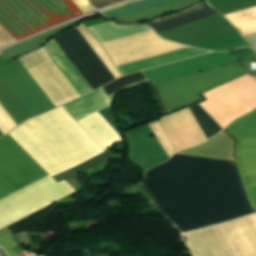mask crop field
I'll return each instance as SVG.
<instances>
[{
	"label": "crop field",
	"mask_w": 256,
	"mask_h": 256,
	"mask_svg": "<svg viewBox=\"0 0 256 256\" xmlns=\"http://www.w3.org/2000/svg\"><path fill=\"white\" fill-rule=\"evenodd\" d=\"M149 201L180 233L253 213L235 162L175 154L145 172Z\"/></svg>",
	"instance_id": "obj_1"
},
{
	"label": "crop field",
	"mask_w": 256,
	"mask_h": 256,
	"mask_svg": "<svg viewBox=\"0 0 256 256\" xmlns=\"http://www.w3.org/2000/svg\"><path fill=\"white\" fill-rule=\"evenodd\" d=\"M0 172L20 189L48 175L8 134L0 139ZM0 173V199L17 189ZM76 191L49 175L0 200V229Z\"/></svg>",
	"instance_id": "obj_2"
},
{
	"label": "crop field",
	"mask_w": 256,
	"mask_h": 256,
	"mask_svg": "<svg viewBox=\"0 0 256 256\" xmlns=\"http://www.w3.org/2000/svg\"><path fill=\"white\" fill-rule=\"evenodd\" d=\"M10 135L51 176L103 152L63 107L27 120Z\"/></svg>",
	"instance_id": "obj_3"
},
{
	"label": "crop field",
	"mask_w": 256,
	"mask_h": 256,
	"mask_svg": "<svg viewBox=\"0 0 256 256\" xmlns=\"http://www.w3.org/2000/svg\"><path fill=\"white\" fill-rule=\"evenodd\" d=\"M184 235L192 256H256V213Z\"/></svg>",
	"instance_id": "obj_4"
},
{
	"label": "crop field",
	"mask_w": 256,
	"mask_h": 256,
	"mask_svg": "<svg viewBox=\"0 0 256 256\" xmlns=\"http://www.w3.org/2000/svg\"><path fill=\"white\" fill-rule=\"evenodd\" d=\"M79 15L71 0H0V25L17 40Z\"/></svg>",
	"instance_id": "obj_5"
},
{
	"label": "crop field",
	"mask_w": 256,
	"mask_h": 256,
	"mask_svg": "<svg viewBox=\"0 0 256 256\" xmlns=\"http://www.w3.org/2000/svg\"><path fill=\"white\" fill-rule=\"evenodd\" d=\"M245 73L234 63L155 84L168 113L203 101L201 92Z\"/></svg>",
	"instance_id": "obj_6"
},
{
	"label": "crop field",
	"mask_w": 256,
	"mask_h": 256,
	"mask_svg": "<svg viewBox=\"0 0 256 256\" xmlns=\"http://www.w3.org/2000/svg\"><path fill=\"white\" fill-rule=\"evenodd\" d=\"M19 60L55 107L80 97L43 48Z\"/></svg>",
	"instance_id": "obj_7"
},
{
	"label": "crop field",
	"mask_w": 256,
	"mask_h": 256,
	"mask_svg": "<svg viewBox=\"0 0 256 256\" xmlns=\"http://www.w3.org/2000/svg\"><path fill=\"white\" fill-rule=\"evenodd\" d=\"M54 39L93 90L115 79L76 27Z\"/></svg>",
	"instance_id": "obj_8"
},
{
	"label": "crop field",
	"mask_w": 256,
	"mask_h": 256,
	"mask_svg": "<svg viewBox=\"0 0 256 256\" xmlns=\"http://www.w3.org/2000/svg\"><path fill=\"white\" fill-rule=\"evenodd\" d=\"M212 8V7H211ZM206 2L199 3L187 10L166 16L148 23L157 34L189 24L191 22L218 14L211 9Z\"/></svg>",
	"instance_id": "obj_9"
},
{
	"label": "crop field",
	"mask_w": 256,
	"mask_h": 256,
	"mask_svg": "<svg viewBox=\"0 0 256 256\" xmlns=\"http://www.w3.org/2000/svg\"><path fill=\"white\" fill-rule=\"evenodd\" d=\"M45 51L59 67L65 77L76 89L80 96L93 91L74 65L70 62L64 52L60 49L54 39L47 42L44 47Z\"/></svg>",
	"instance_id": "obj_10"
},
{
	"label": "crop field",
	"mask_w": 256,
	"mask_h": 256,
	"mask_svg": "<svg viewBox=\"0 0 256 256\" xmlns=\"http://www.w3.org/2000/svg\"><path fill=\"white\" fill-rule=\"evenodd\" d=\"M235 159L244 186L256 184V138L236 141Z\"/></svg>",
	"instance_id": "obj_11"
},
{
	"label": "crop field",
	"mask_w": 256,
	"mask_h": 256,
	"mask_svg": "<svg viewBox=\"0 0 256 256\" xmlns=\"http://www.w3.org/2000/svg\"><path fill=\"white\" fill-rule=\"evenodd\" d=\"M78 123L104 150L122 142V139L97 112Z\"/></svg>",
	"instance_id": "obj_12"
},
{
	"label": "crop field",
	"mask_w": 256,
	"mask_h": 256,
	"mask_svg": "<svg viewBox=\"0 0 256 256\" xmlns=\"http://www.w3.org/2000/svg\"><path fill=\"white\" fill-rule=\"evenodd\" d=\"M210 51L206 50H199V49H194L191 47L180 49L177 51L169 52L166 54L158 55L155 57H151L148 59L140 60L137 62L129 63L126 65L118 66V69L122 73V75L141 71L144 69L152 68L155 66H159L162 64L170 63L173 61L181 60L184 58L192 57L195 55H199L202 53H206Z\"/></svg>",
	"instance_id": "obj_13"
},
{
	"label": "crop field",
	"mask_w": 256,
	"mask_h": 256,
	"mask_svg": "<svg viewBox=\"0 0 256 256\" xmlns=\"http://www.w3.org/2000/svg\"><path fill=\"white\" fill-rule=\"evenodd\" d=\"M110 101L103 91L102 87L96 91L87 94L79 99L67 103L64 108L70 113L77 121L95 111H98L108 105Z\"/></svg>",
	"instance_id": "obj_14"
},
{
	"label": "crop field",
	"mask_w": 256,
	"mask_h": 256,
	"mask_svg": "<svg viewBox=\"0 0 256 256\" xmlns=\"http://www.w3.org/2000/svg\"><path fill=\"white\" fill-rule=\"evenodd\" d=\"M88 29L100 43L150 30L149 27L142 25L117 26L111 21L88 27Z\"/></svg>",
	"instance_id": "obj_15"
},
{
	"label": "crop field",
	"mask_w": 256,
	"mask_h": 256,
	"mask_svg": "<svg viewBox=\"0 0 256 256\" xmlns=\"http://www.w3.org/2000/svg\"><path fill=\"white\" fill-rule=\"evenodd\" d=\"M200 0H183L180 2H171L159 6H155L149 9H145L139 12L132 13L117 18L120 23H135L143 20H147L156 16L168 14L174 10L182 9L190 6Z\"/></svg>",
	"instance_id": "obj_16"
},
{
	"label": "crop field",
	"mask_w": 256,
	"mask_h": 256,
	"mask_svg": "<svg viewBox=\"0 0 256 256\" xmlns=\"http://www.w3.org/2000/svg\"><path fill=\"white\" fill-rule=\"evenodd\" d=\"M224 130L235 140L256 137V109L236 119Z\"/></svg>",
	"instance_id": "obj_17"
},
{
	"label": "crop field",
	"mask_w": 256,
	"mask_h": 256,
	"mask_svg": "<svg viewBox=\"0 0 256 256\" xmlns=\"http://www.w3.org/2000/svg\"><path fill=\"white\" fill-rule=\"evenodd\" d=\"M79 21V20H77ZM77 21L71 22L69 24H66L60 28H57L55 30H52L48 33H44V34H40L36 37L31 38L29 41H24L20 44L14 45L11 48L5 50L2 52V55L7 59H11L13 57L25 54L39 46H41L43 44V42L45 40H47L49 37L59 33L60 31H62L63 29L72 26L74 23H76Z\"/></svg>",
	"instance_id": "obj_18"
},
{
	"label": "crop field",
	"mask_w": 256,
	"mask_h": 256,
	"mask_svg": "<svg viewBox=\"0 0 256 256\" xmlns=\"http://www.w3.org/2000/svg\"><path fill=\"white\" fill-rule=\"evenodd\" d=\"M235 27L238 26L244 35L252 34L256 32V7L248 8L238 12L224 15ZM236 29L240 31V29Z\"/></svg>",
	"instance_id": "obj_19"
},
{
	"label": "crop field",
	"mask_w": 256,
	"mask_h": 256,
	"mask_svg": "<svg viewBox=\"0 0 256 256\" xmlns=\"http://www.w3.org/2000/svg\"><path fill=\"white\" fill-rule=\"evenodd\" d=\"M190 109L197 123L199 124L206 140L222 130L199 104L190 106Z\"/></svg>",
	"instance_id": "obj_20"
},
{
	"label": "crop field",
	"mask_w": 256,
	"mask_h": 256,
	"mask_svg": "<svg viewBox=\"0 0 256 256\" xmlns=\"http://www.w3.org/2000/svg\"><path fill=\"white\" fill-rule=\"evenodd\" d=\"M136 1H139V0H135V1H132V2H136ZM170 1H177V0H142V1H139V2H136V3H133V4H129V5L124 4L125 6L120 5L122 7L116 6V7H113V8H109V9H106L102 12H105L107 10H111V9L119 7L117 9H114V10L103 13L104 15H106L108 17L114 18V17H117V16H121V15L131 13V12H134V11H138V10L148 8V7H151V6H154V5L167 3V2H170ZM132 2H129V3H132Z\"/></svg>",
	"instance_id": "obj_21"
},
{
	"label": "crop field",
	"mask_w": 256,
	"mask_h": 256,
	"mask_svg": "<svg viewBox=\"0 0 256 256\" xmlns=\"http://www.w3.org/2000/svg\"><path fill=\"white\" fill-rule=\"evenodd\" d=\"M146 81V78L142 72L130 74L121 78L116 79L115 81L103 86L106 94L109 96L131 84L139 83Z\"/></svg>",
	"instance_id": "obj_22"
},
{
	"label": "crop field",
	"mask_w": 256,
	"mask_h": 256,
	"mask_svg": "<svg viewBox=\"0 0 256 256\" xmlns=\"http://www.w3.org/2000/svg\"><path fill=\"white\" fill-rule=\"evenodd\" d=\"M0 245L6 250L9 256H20L14 250L20 246L15 242L10 230L0 233Z\"/></svg>",
	"instance_id": "obj_23"
},
{
	"label": "crop field",
	"mask_w": 256,
	"mask_h": 256,
	"mask_svg": "<svg viewBox=\"0 0 256 256\" xmlns=\"http://www.w3.org/2000/svg\"><path fill=\"white\" fill-rule=\"evenodd\" d=\"M90 1L97 9H99L119 0H90Z\"/></svg>",
	"instance_id": "obj_24"
},
{
	"label": "crop field",
	"mask_w": 256,
	"mask_h": 256,
	"mask_svg": "<svg viewBox=\"0 0 256 256\" xmlns=\"http://www.w3.org/2000/svg\"><path fill=\"white\" fill-rule=\"evenodd\" d=\"M6 61L2 56H0V63Z\"/></svg>",
	"instance_id": "obj_25"
}]
</instances>
